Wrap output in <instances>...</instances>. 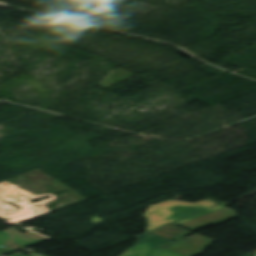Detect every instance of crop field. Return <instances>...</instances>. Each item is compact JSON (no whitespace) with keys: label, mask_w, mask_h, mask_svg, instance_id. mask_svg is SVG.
<instances>
[{"label":"crop field","mask_w":256,"mask_h":256,"mask_svg":"<svg viewBox=\"0 0 256 256\" xmlns=\"http://www.w3.org/2000/svg\"><path fill=\"white\" fill-rule=\"evenodd\" d=\"M222 207H225V206L219 205V206H217V207L211 208V209L206 210V211H204V212H201V213H199V214H196V215H193V216L188 217V218H186V219H183V220H181V221L175 222V223H173V224L177 225V224H179V223H182V222H185V221H187V220L193 219V218H195V217L201 216V215H203V214L212 212V211L217 210V209H220V208H222Z\"/></svg>","instance_id":"crop-field-4"},{"label":"crop field","mask_w":256,"mask_h":256,"mask_svg":"<svg viewBox=\"0 0 256 256\" xmlns=\"http://www.w3.org/2000/svg\"><path fill=\"white\" fill-rule=\"evenodd\" d=\"M9 256H25V255H23V254L17 252V253H15V254H12V255H9ZM30 256H42V255L37 254V253H34V254L30 255Z\"/></svg>","instance_id":"crop-field-6"},{"label":"crop field","mask_w":256,"mask_h":256,"mask_svg":"<svg viewBox=\"0 0 256 256\" xmlns=\"http://www.w3.org/2000/svg\"><path fill=\"white\" fill-rule=\"evenodd\" d=\"M215 205L217 204L211 200L197 203H185L180 201L167 200L155 205H151L144 215L148 221L146 231L192 215Z\"/></svg>","instance_id":"crop-field-1"},{"label":"crop field","mask_w":256,"mask_h":256,"mask_svg":"<svg viewBox=\"0 0 256 256\" xmlns=\"http://www.w3.org/2000/svg\"><path fill=\"white\" fill-rule=\"evenodd\" d=\"M154 256H184V255H181V254H178V253H175L173 251L163 248L158 253H156Z\"/></svg>","instance_id":"crop-field-5"},{"label":"crop field","mask_w":256,"mask_h":256,"mask_svg":"<svg viewBox=\"0 0 256 256\" xmlns=\"http://www.w3.org/2000/svg\"><path fill=\"white\" fill-rule=\"evenodd\" d=\"M46 239L47 238L32 232L22 235L13 228L0 231V246H5L3 248L10 252Z\"/></svg>","instance_id":"crop-field-2"},{"label":"crop field","mask_w":256,"mask_h":256,"mask_svg":"<svg viewBox=\"0 0 256 256\" xmlns=\"http://www.w3.org/2000/svg\"><path fill=\"white\" fill-rule=\"evenodd\" d=\"M137 239L139 242L122 256H152L162 248L159 245L172 241L150 232L137 236Z\"/></svg>","instance_id":"crop-field-3"}]
</instances>
